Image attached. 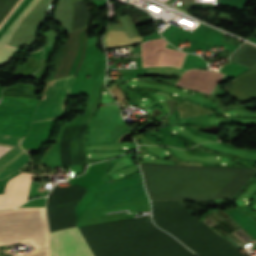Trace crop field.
<instances>
[{"instance_id": "1", "label": "crop field", "mask_w": 256, "mask_h": 256, "mask_svg": "<svg viewBox=\"0 0 256 256\" xmlns=\"http://www.w3.org/2000/svg\"><path fill=\"white\" fill-rule=\"evenodd\" d=\"M150 200L233 197L256 169L139 164Z\"/></svg>"}, {"instance_id": "2", "label": "crop field", "mask_w": 256, "mask_h": 256, "mask_svg": "<svg viewBox=\"0 0 256 256\" xmlns=\"http://www.w3.org/2000/svg\"><path fill=\"white\" fill-rule=\"evenodd\" d=\"M79 229L95 256H196L149 216Z\"/></svg>"}, {"instance_id": "3", "label": "crop field", "mask_w": 256, "mask_h": 256, "mask_svg": "<svg viewBox=\"0 0 256 256\" xmlns=\"http://www.w3.org/2000/svg\"><path fill=\"white\" fill-rule=\"evenodd\" d=\"M152 204V220L200 256H244L195 219L182 200Z\"/></svg>"}, {"instance_id": "4", "label": "crop field", "mask_w": 256, "mask_h": 256, "mask_svg": "<svg viewBox=\"0 0 256 256\" xmlns=\"http://www.w3.org/2000/svg\"><path fill=\"white\" fill-rule=\"evenodd\" d=\"M75 75L48 81L31 123L57 118L63 110Z\"/></svg>"}, {"instance_id": "5", "label": "crop field", "mask_w": 256, "mask_h": 256, "mask_svg": "<svg viewBox=\"0 0 256 256\" xmlns=\"http://www.w3.org/2000/svg\"><path fill=\"white\" fill-rule=\"evenodd\" d=\"M88 247L77 227L50 233L51 256H72ZM74 256H93L89 247Z\"/></svg>"}, {"instance_id": "6", "label": "crop field", "mask_w": 256, "mask_h": 256, "mask_svg": "<svg viewBox=\"0 0 256 256\" xmlns=\"http://www.w3.org/2000/svg\"><path fill=\"white\" fill-rule=\"evenodd\" d=\"M22 138L0 135V145L14 147L0 158V180L15 172L29 161V156L20 148Z\"/></svg>"}, {"instance_id": "7", "label": "crop field", "mask_w": 256, "mask_h": 256, "mask_svg": "<svg viewBox=\"0 0 256 256\" xmlns=\"http://www.w3.org/2000/svg\"><path fill=\"white\" fill-rule=\"evenodd\" d=\"M32 174L20 173L10 178L4 194H0V209L12 208L26 202Z\"/></svg>"}, {"instance_id": "8", "label": "crop field", "mask_w": 256, "mask_h": 256, "mask_svg": "<svg viewBox=\"0 0 256 256\" xmlns=\"http://www.w3.org/2000/svg\"><path fill=\"white\" fill-rule=\"evenodd\" d=\"M235 78L238 80L226 86L235 100L243 102L256 95V66Z\"/></svg>"}, {"instance_id": "9", "label": "crop field", "mask_w": 256, "mask_h": 256, "mask_svg": "<svg viewBox=\"0 0 256 256\" xmlns=\"http://www.w3.org/2000/svg\"><path fill=\"white\" fill-rule=\"evenodd\" d=\"M39 0H31L15 21L8 27V29L0 37V65H3L9 58L15 48L6 45L15 28L21 21V19L34 7ZM23 20V19H22Z\"/></svg>"}, {"instance_id": "10", "label": "crop field", "mask_w": 256, "mask_h": 256, "mask_svg": "<svg viewBox=\"0 0 256 256\" xmlns=\"http://www.w3.org/2000/svg\"><path fill=\"white\" fill-rule=\"evenodd\" d=\"M141 38L142 37L128 39L125 32L108 30L105 36V44L107 49L113 47H124L131 44L139 43L141 41Z\"/></svg>"}, {"instance_id": "11", "label": "crop field", "mask_w": 256, "mask_h": 256, "mask_svg": "<svg viewBox=\"0 0 256 256\" xmlns=\"http://www.w3.org/2000/svg\"><path fill=\"white\" fill-rule=\"evenodd\" d=\"M175 109L179 111L180 118L191 117L194 115L205 114V113H211V111L204 109L186 100L182 102Z\"/></svg>"}, {"instance_id": "12", "label": "crop field", "mask_w": 256, "mask_h": 256, "mask_svg": "<svg viewBox=\"0 0 256 256\" xmlns=\"http://www.w3.org/2000/svg\"><path fill=\"white\" fill-rule=\"evenodd\" d=\"M10 149H12V148L0 146V157H1L2 155H4L6 152H8Z\"/></svg>"}]
</instances>
